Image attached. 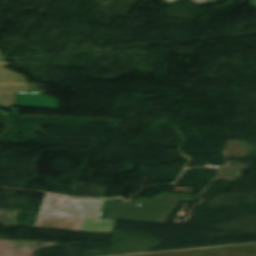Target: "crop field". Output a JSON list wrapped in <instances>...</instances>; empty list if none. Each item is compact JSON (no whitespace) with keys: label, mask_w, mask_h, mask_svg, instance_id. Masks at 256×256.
Returning <instances> with one entry per match:
<instances>
[{"label":"crop field","mask_w":256,"mask_h":256,"mask_svg":"<svg viewBox=\"0 0 256 256\" xmlns=\"http://www.w3.org/2000/svg\"><path fill=\"white\" fill-rule=\"evenodd\" d=\"M15 106L41 108L57 111L59 102L56 98L40 93H14Z\"/></svg>","instance_id":"4"},{"label":"crop field","mask_w":256,"mask_h":256,"mask_svg":"<svg viewBox=\"0 0 256 256\" xmlns=\"http://www.w3.org/2000/svg\"><path fill=\"white\" fill-rule=\"evenodd\" d=\"M51 196L46 195L39 212L91 217L98 201L67 198L64 204H49Z\"/></svg>","instance_id":"3"},{"label":"crop field","mask_w":256,"mask_h":256,"mask_svg":"<svg viewBox=\"0 0 256 256\" xmlns=\"http://www.w3.org/2000/svg\"><path fill=\"white\" fill-rule=\"evenodd\" d=\"M9 62L7 61H0V66H8Z\"/></svg>","instance_id":"10"},{"label":"crop field","mask_w":256,"mask_h":256,"mask_svg":"<svg viewBox=\"0 0 256 256\" xmlns=\"http://www.w3.org/2000/svg\"><path fill=\"white\" fill-rule=\"evenodd\" d=\"M65 200H66L65 197H59V196L53 195L50 203H64Z\"/></svg>","instance_id":"8"},{"label":"crop field","mask_w":256,"mask_h":256,"mask_svg":"<svg viewBox=\"0 0 256 256\" xmlns=\"http://www.w3.org/2000/svg\"><path fill=\"white\" fill-rule=\"evenodd\" d=\"M101 213L95 212L92 218L80 217L75 231L111 234L115 220L99 219Z\"/></svg>","instance_id":"5"},{"label":"crop field","mask_w":256,"mask_h":256,"mask_svg":"<svg viewBox=\"0 0 256 256\" xmlns=\"http://www.w3.org/2000/svg\"><path fill=\"white\" fill-rule=\"evenodd\" d=\"M130 256H256V244L236 245Z\"/></svg>","instance_id":"2"},{"label":"crop field","mask_w":256,"mask_h":256,"mask_svg":"<svg viewBox=\"0 0 256 256\" xmlns=\"http://www.w3.org/2000/svg\"><path fill=\"white\" fill-rule=\"evenodd\" d=\"M0 60H3V58H2V56H1V54H0Z\"/></svg>","instance_id":"12"},{"label":"crop field","mask_w":256,"mask_h":256,"mask_svg":"<svg viewBox=\"0 0 256 256\" xmlns=\"http://www.w3.org/2000/svg\"><path fill=\"white\" fill-rule=\"evenodd\" d=\"M178 201L194 202L195 195L162 193L152 198L118 202L112 219L163 224ZM136 203L141 206H136Z\"/></svg>","instance_id":"1"},{"label":"crop field","mask_w":256,"mask_h":256,"mask_svg":"<svg viewBox=\"0 0 256 256\" xmlns=\"http://www.w3.org/2000/svg\"><path fill=\"white\" fill-rule=\"evenodd\" d=\"M13 92H27L26 85H0V105L14 104Z\"/></svg>","instance_id":"6"},{"label":"crop field","mask_w":256,"mask_h":256,"mask_svg":"<svg viewBox=\"0 0 256 256\" xmlns=\"http://www.w3.org/2000/svg\"><path fill=\"white\" fill-rule=\"evenodd\" d=\"M0 83H27V81L24 76L0 67Z\"/></svg>","instance_id":"7"},{"label":"crop field","mask_w":256,"mask_h":256,"mask_svg":"<svg viewBox=\"0 0 256 256\" xmlns=\"http://www.w3.org/2000/svg\"><path fill=\"white\" fill-rule=\"evenodd\" d=\"M107 201L99 200L95 211H102Z\"/></svg>","instance_id":"9"},{"label":"crop field","mask_w":256,"mask_h":256,"mask_svg":"<svg viewBox=\"0 0 256 256\" xmlns=\"http://www.w3.org/2000/svg\"><path fill=\"white\" fill-rule=\"evenodd\" d=\"M0 114L8 115V114H6V113H4V112H1V111H0Z\"/></svg>","instance_id":"11"}]
</instances>
